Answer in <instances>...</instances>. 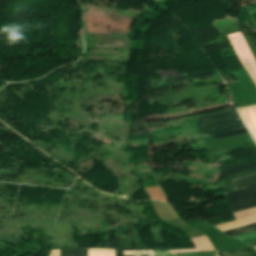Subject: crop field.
Returning <instances> with one entry per match:
<instances>
[{"instance_id":"crop-field-1","label":"crop field","mask_w":256,"mask_h":256,"mask_svg":"<svg viewBox=\"0 0 256 256\" xmlns=\"http://www.w3.org/2000/svg\"><path fill=\"white\" fill-rule=\"evenodd\" d=\"M197 127L203 137H206L243 128L244 125L237 111L232 110L215 115L202 116L198 120Z\"/></svg>"},{"instance_id":"crop-field-2","label":"crop field","mask_w":256,"mask_h":256,"mask_svg":"<svg viewBox=\"0 0 256 256\" xmlns=\"http://www.w3.org/2000/svg\"><path fill=\"white\" fill-rule=\"evenodd\" d=\"M233 212L256 206V184L225 193Z\"/></svg>"},{"instance_id":"crop-field-3","label":"crop field","mask_w":256,"mask_h":256,"mask_svg":"<svg viewBox=\"0 0 256 256\" xmlns=\"http://www.w3.org/2000/svg\"><path fill=\"white\" fill-rule=\"evenodd\" d=\"M235 52L237 53L244 68H247L251 78L256 83V63L241 35V33H235L227 35Z\"/></svg>"},{"instance_id":"crop-field-4","label":"crop field","mask_w":256,"mask_h":256,"mask_svg":"<svg viewBox=\"0 0 256 256\" xmlns=\"http://www.w3.org/2000/svg\"><path fill=\"white\" fill-rule=\"evenodd\" d=\"M238 28L240 29L241 33L243 34L255 60H256V33L252 32L249 25L244 22L237 24Z\"/></svg>"},{"instance_id":"crop-field-5","label":"crop field","mask_w":256,"mask_h":256,"mask_svg":"<svg viewBox=\"0 0 256 256\" xmlns=\"http://www.w3.org/2000/svg\"><path fill=\"white\" fill-rule=\"evenodd\" d=\"M191 241L193 242V244L195 245V247L197 249L175 250V251H169V253H172V252H192V251L214 250L211 242L208 240V238L206 236L192 238Z\"/></svg>"},{"instance_id":"crop-field-6","label":"crop field","mask_w":256,"mask_h":256,"mask_svg":"<svg viewBox=\"0 0 256 256\" xmlns=\"http://www.w3.org/2000/svg\"><path fill=\"white\" fill-rule=\"evenodd\" d=\"M115 256H153V251L140 249L115 250Z\"/></svg>"},{"instance_id":"crop-field-7","label":"crop field","mask_w":256,"mask_h":256,"mask_svg":"<svg viewBox=\"0 0 256 256\" xmlns=\"http://www.w3.org/2000/svg\"><path fill=\"white\" fill-rule=\"evenodd\" d=\"M255 230H256V223L238 227V228H235V229L223 232V233L234 236V235H238V234H242V233H246V232H250V231H255Z\"/></svg>"},{"instance_id":"crop-field-8","label":"crop field","mask_w":256,"mask_h":256,"mask_svg":"<svg viewBox=\"0 0 256 256\" xmlns=\"http://www.w3.org/2000/svg\"><path fill=\"white\" fill-rule=\"evenodd\" d=\"M60 256H88V249L60 250Z\"/></svg>"},{"instance_id":"crop-field-9","label":"crop field","mask_w":256,"mask_h":256,"mask_svg":"<svg viewBox=\"0 0 256 256\" xmlns=\"http://www.w3.org/2000/svg\"><path fill=\"white\" fill-rule=\"evenodd\" d=\"M89 256H114V250L89 249Z\"/></svg>"},{"instance_id":"crop-field-10","label":"crop field","mask_w":256,"mask_h":256,"mask_svg":"<svg viewBox=\"0 0 256 256\" xmlns=\"http://www.w3.org/2000/svg\"><path fill=\"white\" fill-rule=\"evenodd\" d=\"M243 133H247L246 128L228 132V133L219 134V135H214L213 138H214V140H217V139L235 136V135H239V134H243Z\"/></svg>"},{"instance_id":"crop-field-11","label":"crop field","mask_w":256,"mask_h":256,"mask_svg":"<svg viewBox=\"0 0 256 256\" xmlns=\"http://www.w3.org/2000/svg\"><path fill=\"white\" fill-rule=\"evenodd\" d=\"M230 252L237 256H256V251H254L253 249H251L249 247L242 249V250L230 251Z\"/></svg>"},{"instance_id":"crop-field-12","label":"crop field","mask_w":256,"mask_h":256,"mask_svg":"<svg viewBox=\"0 0 256 256\" xmlns=\"http://www.w3.org/2000/svg\"><path fill=\"white\" fill-rule=\"evenodd\" d=\"M252 183H256V176L233 182V185L235 186V188H238Z\"/></svg>"},{"instance_id":"crop-field-13","label":"crop field","mask_w":256,"mask_h":256,"mask_svg":"<svg viewBox=\"0 0 256 256\" xmlns=\"http://www.w3.org/2000/svg\"><path fill=\"white\" fill-rule=\"evenodd\" d=\"M234 237L239 239V240L256 237V231L255 232L246 233V234H242V235H238V236H234Z\"/></svg>"},{"instance_id":"crop-field-14","label":"crop field","mask_w":256,"mask_h":256,"mask_svg":"<svg viewBox=\"0 0 256 256\" xmlns=\"http://www.w3.org/2000/svg\"><path fill=\"white\" fill-rule=\"evenodd\" d=\"M154 256H176V254H168L164 251H154Z\"/></svg>"},{"instance_id":"crop-field-15","label":"crop field","mask_w":256,"mask_h":256,"mask_svg":"<svg viewBox=\"0 0 256 256\" xmlns=\"http://www.w3.org/2000/svg\"><path fill=\"white\" fill-rule=\"evenodd\" d=\"M253 175H256V172L252 173V174H248V175L242 176V177H239V178L232 179L231 182L239 180V179H243V178H246V177H249V176H253Z\"/></svg>"},{"instance_id":"crop-field-16","label":"crop field","mask_w":256,"mask_h":256,"mask_svg":"<svg viewBox=\"0 0 256 256\" xmlns=\"http://www.w3.org/2000/svg\"><path fill=\"white\" fill-rule=\"evenodd\" d=\"M216 255H217V256H235V255H233V254H231V253H229V252L220 253V252H218V251H217Z\"/></svg>"},{"instance_id":"crop-field-17","label":"crop field","mask_w":256,"mask_h":256,"mask_svg":"<svg viewBox=\"0 0 256 256\" xmlns=\"http://www.w3.org/2000/svg\"><path fill=\"white\" fill-rule=\"evenodd\" d=\"M49 256H59V250H52Z\"/></svg>"},{"instance_id":"crop-field-18","label":"crop field","mask_w":256,"mask_h":256,"mask_svg":"<svg viewBox=\"0 0 256 256\" xmlns=\"http://www.w3.org/2000/svg\"><path fill=\"white\" fill-rule=\"evenodd\" d=\"M256 170H252V171H249V172H246V173H243V174H239V175H235V176H231L229 177V179L231 178H235V177H238V176H242V175H245V174H248V173H252V172H255Z\"/></svg>"},{"instance_id":"crop-field-19","label":"crop field","mask_w":256,"mask_h":256,"mask_svg":"<svg viewBox=\"0 0 256 256\" xmlns=\"http://www.w3.org/2000/svg\"><path fill=\"white\" fill-rule=\"evenodd\" d=\"M255 249H256V244L255 245H252Z\"/></svg>"}]
</instances>
